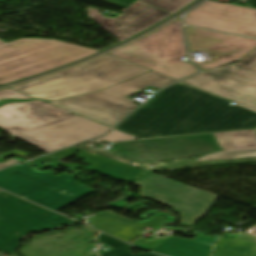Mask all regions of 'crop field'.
<instances>
[{"label":"crop field","instance_id":"crop-field-17","mask_svg":"<svg viewBox=\"0 0 256 256\" xmlns=\"http://www.w3.org/2000/svg\"><path fill=\"white\" fill-rule=\"evenodd\" d=\"M163 218L164 217L161 216H155L140 224L134 220L106 210L89 218L88 223L93 224V227L110 235L130 241L139 237L137 232L139 229L147 225L155 228L159 225Z\"/></svg>","mask_w":256,"mask_h":256},{"label":"crop field","instance_id":"crop-field-28","mask_svg":"<svg viewBox=\"0 0 256 256\" xmlns=\"http://www.w3.org/2000/svg\"><path fill=\"white\" fill-rule=\"evenodd\" d=\"M17 162H19V161L16 160V159H14V158H12V159H10L8 162L0 164V169H1V168H4V167H6V166L12 165V164H14V163H17Z\"/></svg>","mask_w":256,"mask_h":256},{"label":"crop field","instance_id":"crop-field-26","mask_svg":"<svg viewBox=\"0 0 256 256\" xmlns=\"http://www.w3.org/2000/svg\"><path fill=\"white\" fill-rule=\"evenodd\" d=\"M256 228V226L254 227ZM238 238H247V239H256V229L253 230L252 232L250 233H246L244 232L243 234H240L237 236Z\"/></svg>","mask_w":256,"mask_h":256},{"label":"crop field","instance_id":"crop-field-23","mask_svg":"<svg viewBox=\"0 0 256 256\" xmlns=\"http://www.w3.org/2000/svg\"><path fill=\"white\" fill-rule=\"evenodd\" d=\"M2 98L33 99L32 97H29L27 95L15 92V91L10 90V89L0 91V99H2Z\"/></svg>","mask_w":256,"mask_h":256},{"label":"crop field","instance_id":"crop-field-10","mask_svg":"<svg viewBox=\"0 0 256 256\" xmlns=\"http://www.w3.org/2000/svg\"><path fill=\"white\" fill-rule=\"evenodd\" d=\"M239 69L220 67L182 82L256 109V48L237 61Z\"/></svg>","mask_w":256,"mask_h":256},{"label":"crop field","instance_id":"crop-field-30","mask_svg":"<svg viewBox=\"0 0 256 256\" xmlns=\"http://www.w3.org/2000/svg\"><path fill=\"white\" fill-rule=\"evenodd\" d=\"M254 8H256V0H252Z\"/></svg>","mask_w":256,"mask_h":256},{"label":"crop field","instance_id":"crop-field-21","mask_svg":"<svg viewBox=\"0 0 256 256\" xmlns=\"http://www.w3.org/2000/svg\"><path fill=\"white\" fill-rule=\"evenodd\" d=\"M148 5L173 12L191 0H138Z\"/></svg>","mask_w":256,"mask_h":256},{"label":"crop field","instance_id":"crop-field-16","mask_svg":"<svg viewBox=\"0 0 256 256\" xmlns=\"http://www.w3.org/2000/svg\"><path fill=\"white\" fill-rule=\"evenodd\" d=\"M213 136L221 149L224 150L205 155L194 161L256 157V134L254 130L217 133Z\"/></svg>","mask_w":256,"mask_h":256},{"label":"crop field","instance_id":"crop-field-1","mask_svg":"<svg viewBox=\"0 0 256 256\" xmlns=\"http://www.w3.org/2000/svg\"><path fill=\"white\" fill-rule=\"evenodd\" d=\"M182 83L161 90L115 129L139 138L256 127V110Z\"/></svg>","mask_w":256,"mask_h":256},{"label":"crop field","instance_id":"crop-field-24","mask_svg":"<svg viewBox=\"0 0 256 256\" xmlns=\"http://www.w3.org/2000/svg\"><path fill=\"white\" fill-rule=\"evenodd\" d=\"M86 145L87 144L77 146V147H80V148H83V149H86V150H89V151H92V152H95V153H98V154H101V155H104V156H107V157H110V158H113V159H116V160H119V161L127 163V164H129V162H130L129 160H126V159H124L122 157H119V156H115V155H111V154L104 153V152H101V151L93 150L91 148L86 147Z\"/></svg>","mask_w":256,"mask_h":256},{"label":"crop field","instance_id":"crop-field-7","mask_svg":"<svg viewBox=\"0 0 256 256\" xmlns=\"http://www.w3.org/2000/svg\"><path fill=\"white\" fill-rule=\"evenodd\" d=\"M23 164L0 171V187L25 198L38 202L55 211L94 192L73 181L77 174L62 173L54 176L52 172L39 173Z\"/></svg>","mask_w":256,"mask_h":256},{"label":"crop field","instance_id":"crop-field-8","mask_svg":"<svg viewBox=\"0 0 256 256\" xmlns=\"http://www.w3.org/2000/svg\"><path fill=\"white\" fill-rule=\"evenodd\" d=\"M135 185L141 188L140 197L159 201L179 212V225L193 228L213 206L218 196L174 180L149 174Z\"/></svg>","mask_w":256,"mask_h":256},{"label":"crop field","instance_id":"crop-field-31","mask_svg":"<svg viewBox=\"0 0 256 256\" xmlns=\"http://www.w3.org/2000/svg\"><path fill=\"white\" fill-rule=\"evenodd\" d=\"M94 256H96V255H94Z\"/></svg>","mask_w":256,"mask_h":256},{"label":"crop field","instance_id":"crop-field-20","mask_svg":"<svg viewBox=\"0 0 256 256\" xmlns=\"http://www.w3.org/2000/svg\"><path fill=\"white\" fill-rule=\"evenodd\" d=\"M97 240L116 248L114 250L100 253L99 254L100 256H133V255H131V252H130V249L135 248L133 246H130V245L123 243L119 240H116L114 238L106 236L102 233H100ZM134 256H159V255L147 253V254H138V255H134Z\"/></svg>","mask_w":256,"mask_h":256},{"label":"crop field","instance_id":"crop-field-15","mask_svg":"<svg viewBox=\"0 0 256 256\" xmlns=\"http://www.w3.org/2000/svg\"><path fill=\"white\" fill-rule=\"evenodd\" d=\"M76 151L80 152L79 157L84 159V163L91 166L89 170L114 178L119 181H127L130 179L138 178L146 173L130 165L97 155L76 147L66 149V150L54 153L52 155L40 158L38 160H35V163L37 166L43 167L42 165L43 161L52 159L55 161V164L53 165V167L75 165L77 167L71 170H78V169H81L82 167L76 164L61 162L65 159H68L74 156Z\"/></svg>","mask_w":256,"mask_h":256},{"label":"crop field","instance_id":"crop-field-19","mask_svg":"<svg viewBox=\"0 0 256 256\" xmlns=\"http://www.w3.org/2000/svg\"><path fill=\"white\" fill-rule=\"evenodd\" d=\"M212 256H256V241L220 238Z\"/></svg>","mask_w":256,"mask_h":256},{"label":"crop field","instance_id":"crop-field-12","mask_svg":"<svg viewBox=\"0 0 256 256\" xmlns=\"http://www.w3.org/2000/svg\"><path fill=\"white\" fill-rule=\"evenodd\" d=\"M189 52L206 51L215 61L198 65L208 70L236 62L256 47V39L204 29L185 27Z\"/></svg>","mask_w":256,"mask_h":256},{"label":"crop field","instance_id":"crop-field-14","mask_svg":"<svg viewBox=\"0 0 256 256\" xmlns=\"http://www.w3.org/2000/svg\"><path fill=\"white\" fill-rule=\"evenodd\" d=\"M87 11L89 17L120 42L173 15L141 3H135L120 15L109 19L96 9L88 8Z\"/></svg>","mask_w":256,"mask_h":256},{"label":"crop field","instance_id":"crop-field-5","mask_svg":"<svg viewBox=\"0 0 256 256\" xmlns=\"http://www.w3.org/2000/svg\"><path fill=\"white\" fill-rule=\"evenodd\" d=\"M175 81L151 71L98 92L51 102V104L112 127L136 107L133 101L124 96L149 85L160 89Z\"/></svg>","mask_w":256,"mask_h":256},{"label":"crop field","instance_id":"crop-field-2","mask_svg":"<svg viewBox=\"0 0 256 256\" xmlns=\"http://www.w3.org/2000/svg\"><path fill=\"white\" fill-rule=\"evenodd\" d=\"M40 100L0 107V128L46 153L65 148L110 129Z\"/></svg>","mask_w":256,"mask_h":256},{"label":"crop field","instance_id":"crop-field-29","mask_svg":"<svg viewBox=\"0 0 256 256\" xmlns=\"http://www.w3.org/2000/svg\"><path fill=\"white\" fill-rule=\"evenodd\" d=\"M233 68V70H236L238 68V66L234 63V64H230Z\"/></svg>","mask_w":256,"mask_h":256},{"label":"crop field","instance_id":"crop-field-11","mask_svg":"<svg viewBox=\"0 0 256 256\" xmlns=\"http://www.w3.org/2000/svg\"><path fill=\"white\" fill-rule=\"evenodd\" d=\"M124 158L136 162L165 161L218 150L211 134L115 143Z\"/></svg>","mask_w":256,"mask_h":256},{"label":"crop field","instance_id":"crop-field-6","mask_svg":"<svg viewBox=\"0 0 256 256\" xmlns=\"http://www.w3.org/2000/svg\"><path fill=\"white\" fill-rule=\"evenodd\" d=\"M110 54L176 80L196 72L190 63L181 61V56H186V50L180 20Z\"/></svg>","mask_w":256,"mask_h":256},{"label":"crop field","instance_id":"crop-field-4","mask_svg":"<svg viewBox=\"0 0 256 256\" xmlns=\"http://www.w3.org/2000/svg\"><path fill=\"white\" fill-rule=\"evenodd\" d=\"M97 52L58 40L21 39L8 44L0 41V85L72 63Z\"/></svg>","mask_w":256,"mask_h":256},{"label":"crop field","instance_id":"crop-field-27","mask_svg":"<svg viewBox=\"0 0 256 256\" xmlns=\"http://www.w3.org/2000/svg\"><path fill=\"white\" fill-rule=\"evenodd\" d=\"M125 200H127V199H122L121 201L115 202V203L111 204L110 206L114 207V208H122L125 205H127V203L124 202Z\"/></svg>","mask_w":256,"mask_h":256},{"label":"crop field","instance_id":"crop-field-22","mask_svg":"<svg viewBox=\"0 0 256 256\" xmlns=\"http://www.w3.org/2000/svg\"><path fill=\"white\" fill-rule=\"evenodd\" d=\"M131 139H137V138L121 133L116 130H112L109 134L105 135L103 138L95 140V142L99 143L101 140L114 142V141L131 140Z\"/></svg>","mask_w":256,"mask_h":256},{"label":"crop field","instance_id":"crop-field-13","mask_svg":"<svg viewBox=\"0 0 256 256\" xmlns=\"http://www.w3.org/2000/svg\"><path fill=\"white\" fill-rule=\"evenodd\" d=\"M184 22L256 38V9L206 1L188 13Z\"/></svg>","mask_w":256,"mask_h":256},{"label":"crop field","instance_id":"crop-field-9","mask_svg":"<svg viewBox=\"0 0 256 256\" xmlns=\"http://www.w3.org/2000/svg\"><path fill=\"white\" fill-rule=\"evenodd\" d=\"M70 220L0 192V251L11 253L19 240L29 232L68 224Z\"/></svg>","mask_w":256,"mask_h":256},{"label":"crop field","instance_id":"crop-field-3","mask_svg":"<svg viewBox=\"0 0 256 256\" xmlns=\"http://www.w3.org/2000/svg\"><path fill=\"white\" fill-rule=\"evenodd\" d=\"M151 71L110 54L10 89L35 98L55 101L86 94Z\"/></svg>","mask_w":256,"mask_h":256},{"label":"crop field","instance_id":"crop-field-18","mask_svg":"<svg viewBox=\"0 0 256 256\" xmlns=\"http://www.w3.org/2000/svg\"><path fill=\"white\" fill-rule=\"evenodd\" d=\"M214 240H186L172 237L151 251L170 256H208Z\"/></svg>","mask_w":256,"mask_h":256},{"label":"crop field","instance_id":"crop-field-25","mask_svg":"<svg viewBox=\"0 0 256 256\" xmlns=\"http://www.w3.org/2000/svg\"><path fill=\"white\" fill-rule=\"evenodd\" d=\"M111 4H114L116 6L119 7H126L127 5H129L131 2H133L134 0H102Z\"/></svg>","mask_w":256,"mask_h":256}]
</instances>
